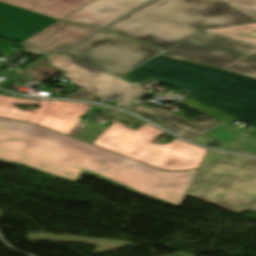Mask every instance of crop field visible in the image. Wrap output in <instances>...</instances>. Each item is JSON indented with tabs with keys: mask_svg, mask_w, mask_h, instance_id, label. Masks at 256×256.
<instances>
[{
	"mask_svg": "<svg viewBox=\"0 0 256 256\" xmlns=\"http://www.w3.org/2000/svg\"><path fill=\"white\" fill-rule=\"evenodd\" d=\"M0 162L75 183L88 172L173 207L182 205L197 171L166 172L37 125L1 118Z\"/></svg>",
	"mask_w": 256,
	"mask_h": 256,
	"instance_id": "obj_1",
	"label": "crop field"
},
{
	"mask_svg": "<svg viewBox=\"0 0 256 256\" xmlns=\"http://www.w3.org/2000/svg\"><path fill=\"white\" fill-rule=\"evenodd\" d=\"M90 106L70 101H52L38 124L68 134L77 124L78 116L85 114Z\"/></svg>",
	"mask_w": 256,
	"mask_h": 256,
	"instance_id": "obj_12",
	"label": "crop field"
},
{
	"mask_svg": "<svg viewBox=\"0 0 256 256\" xmlns=\"http://www.w3.org/2000/svg\"><path fill=\"white\" fill-rule=\"evenodd\" d=\"M67 80L81 89L66 98L95 101L112 95L119 96L114 107L127 106L149 91L80 62L65 69Z\"/></svg>",
	"mask_w": 256,
	"mask_h": 256,
	"instance_id": "obj_8",
	"label": "crop field"
},
{
	"mask_svg": "<svg viewBox=\"0 0 256 256\" xmlns=\"http://www.w3.org/2000/svg\"><path fill=\"white\" fill-rule=\"evenodd\" d=\"M35 11L42 12L55 18H63L78 10L93 0H1Z\"/></svg>",
	"mask_w": 256,
	"mask_h": 256,
	"instance_id": "obj_15",
	"label": "crop field"
},
{
	"mask_svg": "<svg viewBox=\"0 0 256 256\" xmlns=\"http://www.w3.org/2000/svg\"><path fill=\"white\" fill-rule=\"evenodd\" d=\"M170 256H187L185 254H174V255H170Z\"/></svg>",
	"mask_w": 256,
	"mask_h": 256,
	"instance_id": "obj_19",
	"label": "crop field"
},
{
	"mask_svg": "<svg viewBox=\"0 0 256 256\" xmlns=\"http://www.w3.org/2000/svg\"><path fill=\"white\" fill-rule=\"evenodd\" d=\"M155 54L152 47L103 30L63 55L119 77Z\"/></svg>",
	"mask_w": 256,
	"mask_h": 256,
	"instance_id": "obj_7",
	"label": "crop field"
},
{
	"mask_svg": "<svg viewBox=\"0 0 256 256\" xmlns=\"http://www.w3.org/2000/svg\"><path fill=\"white\" fill-rule=\"evenodd\" d=\"M58 19L0 2V37L23 41Z\"/></svg>",
	"mask_w": 256,
	"mask_h": 256,
	"instance_id": "obj_10",
	"label": "crop field"
},
{
	"mask_svg": "<svg viewBox=\"0 0 256 256\" xmlns=\"http://www.w3.org/2000/svg\"><path fill=\"white\" fill-rule=\"evenodd\" d=\"M127 110L135 112L137 114H155L160 118L161 126L177 133L178 135L188 140L194 138L195 136L199 135L200 133L220 122L212 119L211 121L205 123H193L167 110L152 107H143L136 104L128 107Z\"/></svg>",
	"mask_w": 256,
	"mask_h": 256,
	"instance_id": "obj_13",
	"label": "crop field"
},
{
	"mask_svg": "<svg viewBox=\"0 0 256 256\" xmlns=\"http://www.w3.org/2000/svg\"><path fill=\"white\" fill-rule=\"evenodd\" d=\"M256 23V0H153L109 29L162 50L205 29Z\"/></svg>",
	"mask_w": 256,
	"mask_h": 256,
	"instance_id": "obj_3",
	"label": "crop field"
},
{
	"mask_svg": "<svg viewBox=\"0 0 256 256\" xmlns=\"http://www.w3.org/2000/svg\"><path fill=\"white\" fill-rule=\"evenodd\" d=\"M128 81L155 79L190 92L185 104L222 121L256 126V80L234 73L158 56L122 76Z\"/></svg>",
	"mask_w": 256,
	"mask_h": 256,
	"instance_id": "obj_2",
	"label": "crop field"
},
{
	"mask_svg": "<svg viewBox=\"0 0 256 256\" xmlns=\"http://www.w3.org/2000/svg\"><path fill=\"white\" fill-rule=\"evenodd\" d=\"M205 31L256 44V24L226 27Z\"/></svg>",
	"mask_w": 256,
	"mask_h": 256,
	"instance_id": "obj_17",
	"label": "crop field"
},
{
	"mask_svg": "<svg viewBox=\"0 0 256 256\" xmlns=\"http://www.w3.org/2000/svg\"><path fill=\"white\" fill-rule=\"evenodd\" d=\"M13 103L29 105L38 103V101L0 95V117L27 121L31 112L19 110L13 106Z\"/></svg>",
	"mask_w": 256,
	"mask_h": 256,
	"instance_id": "obj_16",
	"label": "crop field"
},
{
	"mask_svg": "<svg viewBox=\"0 0 256 256\" xmlns=\"http://www.w3.org/2000/svg\"><path fill=\"white\" fill-rule=\"evenodd\" d=\"M148 0H95L62 20L105 26Z\"/></svg>",
	"mask_w": 256,
	"mask_h": 256,
	"instance_id": "obj_11",
	"label": "crop field"
},
{
	"mask_svg": "<svg viewBox=\"0 0 256 256\" xmlns=\"http://www.w3.org/2000/svg\"><path fill=\"white\" fill-rule=\"evenodd\" d=\"M249 134L224 123L202 136L222 142L220 149L256 156V137Z\"/></svg>",
	"mask_w": 256,
	"mask_h": 256,
	"instance_id": "obj_14",
	"label": "crop field"
},
{
	"mask_svg": "<svg viewBox=\"0 0 256 256\" xmlns=\"http://www.w3.org/2000/svg\"><path fill=\"white\" fill-rule=\"evenodd\" d=\"M51 103V101L48 100H40L39 101V105L40 107L38 109H34V111L32 112L31 116L28 119V122H32V123H37V121L42 116V114L44 113V111L46 110V108L49 106V104Z\"/></svg>",
	"mask_w": 256,
	"mask_h": 256,
	"instance_id": "obj_18",
	"label": "crop field"
},
{
	"mask_svg": "<svg viewBox=\"0 0 256 256\" xmlns=\"http://www.w3.org/2000/svg\"><path fill=\"white\" fill-rule=\"evenodd\" d=\"M162 132L148 123L135 131L116 121L93 143L160 169L189 170L199 167L206 149L177 138L164 145L150 143Z\"/></svg>",
	"mask_w": 256,
	"mask_h": 256,
	"instance_id": "obj_5",
	"label": "crop field"
},
{
	"mask_svg": "<svg viewBox=\"0 0 256 256\" xmlns=\"http://www.w3.org/2000/svg\"><path fill=\"white\" fill-rule=\"evenodd\" d=\"M163 55L256 78V45L199 31Z\"/></svg>",
	"mask_w": 256,
	"mask_h": 256,
	"instance_id": "obj_6",
	"label": "crop field"
},
{
	"mask_svg": "<svg viewBox=\"0 0 256 256\" xmlns=\"http://www.w3.org/2000/svg\"><path fill=\"white\" fill-rule=\"evenodd\" d=\"M100 28L72 25L62 20L22 42L27 51L47 54L63 50Z\"/></svg>",
	"mask_w": 256,
	"mask_h": 256,
	"instance_id": "obj_9",
	"label": "crop field"
},
{
	"mask_svg": "<svg viewBox=\"0 0 256 256\" xmlns=\"http://www.w3.org/2000/svg\"><path fill=\"white\" fill-rule=\"evenodd\" d=\"M188 196L232 212H256V159L207 150Z\"/></svg>",
	"mask_w": 256,
	"mask_h": 256,
	"instance_id": "obj_4",
	"label": "crop field"
}]
</instances>
